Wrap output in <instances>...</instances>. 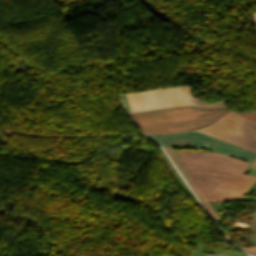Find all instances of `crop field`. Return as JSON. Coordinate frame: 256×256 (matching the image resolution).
Instances as JSON below:
<instances>
[{
	"label": "crop field",
	"mask_w": 256,
	"mask_h": 256,
	"mask_svg": "<svg viewBox=\"0 0 256 256\" xmlns=\"http://www.w3.org/2000/svg\"><path fill=\"white\" fill-rule=\"evenodd\" d=\"M208 202L239 198L256 179L242 174L248 163L217 153L175 151Z\"/></svg>",
	"instance_id": "obj_1"
},
{
	"label": "crop field",
	"mask_w": 256,
	"mask_h": 256,
	"mask_svg": "<svg viewBox=\"0 0 256 256\" xmlns=\"http://www.w3.org/2000/svg\"><path fill=\"white\" fill-rule=\"evenodd\" d=\"M217 110L183 107L131 113L129 116L145 133L179 132L204 128L231 113L226 109L219 112ZM211 113L215 114L207 117H197Z\"/></svg>",
	"instance_id": "obj_2"
},
{
	"label": "crop field",
	"mask_w": 256,
	"mask_h": 256,
	"mask_svg": "<svg viewBox=\"0 0 256 256\" xmlns=\"http://www.w3.org/2000/svg\"><path fill=\"white\" fill-rule=\"evenodd\" d=\"M166 147H202L213 151L221 152L231 156H237L249 162L256 154L216 140L196 131L180 133L147 134Z\"/></svg>",
	"instance_id": "obj_3"
},
{
	"label": "crop field",
	"mask_w": 256,
	"mask_h": 256,
	"mask_svg": "<svg viewBox=\"0 0 256 256\" xmlns=\"http://www.w3.org/2000/svg\"><path fill=\"white\" fill-rule=\"evenodd\" d=\"M227 117L256 131V125L242 117L233 113ZM227 117L197 131L256 153V132Z\"/></svg>",
	"instance_id": "obj_4"
},
{
	"label": "crop field",
	"mask_w": 256,
	"mask_h": 256,
	"mask_svg": "<svg viewBox=\"0 0 256 256\" xmlns=\"http://www.w3.org/2000/svg\"><path fill=\"white\" fill-rule=\"evenodd\" d=\"M189 89L190 86H180L140 91L139 93L146 110L186 105L198 108L225 107L223 101L217 103L202 102L199 98L190 95Z\"/></svg>",
	"instance_id": "obj_5"
},
{
	"label": "crop field",
	"mask_w": 256,
	"mask_h": 256,
	"mask_svg": "<svg viewBox=\"0 0 256 256\" xmlns=\"http://www.w3.org/2000/svg\"><path fill=\"white\" fill-rule=\"evenodd\" d=\"M165 150L167 151V153L169 154V156L171 157V159L173 160V162L175 163V165L177 166V168L180 170V172L182 173V175L184 176V178L186 179V181L188 182V184L191 186V188L193 189V191L195 192V194L197 195V197L200 199V201L202 202V204L206 207V209L212 214V216L215 218L216 221L220 220V218L218 217V215L215 213V211L212 209V207L209 205V203L205 200V198L202 196V194L198 191V189L194 186L191 178H187L183 168L181 167L178 159L176 158V156L174 155V153L171 151L170 148H165Z\"/></svg>",
	"instance_id": "obj_6"
},
{
	"label": "crop field",
	"mask_w": 256,
	"mask_h": 256,
	"mask_svg": "<svg viewBox=\"0 0 256 256\" xmlns=\"http://www.w3.org/2000/svg\"><path fill=\"white\" fill-rule=\"evenodd\" d=\"M126 95L132 111L145 110L138 92L127 93Z\"/></svg>",
	"instance_id": "obj_7"
},
{
	"label": "crop field",
	"mask_w": 256,
	"mask_h": 256,
	"mask_svg": "<svg viewBox=\"0 0 256 256\" xmlns=\"http://www.w3.org/2000/svg\"><path fill=\"white\" fill-rule=\"evenodd\" d=\"M239 116H242L256 124V113L255 112H249V113H235ZM252 165L256 168V158L253 160Z\"/></svg>",
	"instance_id": "obj_8"
},
{
	"label": "crop field",
	"mask_w": 256,
	"mask_h": 256,
	"mask_svg": "<svg viewBox=\"0 0 256 256\" xmlns=\"http://www.w3.org/2000/svg\"><path fill=\"white\" fill-rule=\"evenodd\" d=\"M242 249H244L245 251H247L249 253L256 254V246L250 247V248H242Z\"/></svg>",
	"instance_id": "obj_9"
},
{
	"label": "crop field",
	"mask_w": 256,
	"mask_h": 256,
	"mask_svg": "<svg viewBox=\"0 0 256 256\" xmlns=\"http://www.w3.org/2000/svg\"><path fill=\"white\" fill-rule=\"evenodd\" d=\"M253 20H254V23H255V26H256V12L253 13Z\"/></svg>",
	"instance_id": "obj_10"
},
{
	"label": "crop field",
	"mask_w": 256,
	"mask_h": 256,
	"mask_svg": "<svg viewBox=\"0 0 256 256\" xmlns=\"http://www.w3.org/2000/svg\"><path fill=\"white\" fill-rule=\"evenodd\" d=\"M209 256H221V255H209Z\"/></svg>",
	"instance_id": "obj_11"
},
{
	"label": "crop field",
	"mask_w": 256,
	"mask_h": 256,
	"mask_svg": "<svg viewBox=\"0 0 256 256\" xmlns=\"http://www.w3.org/2000/svg\"><path fill=\"white\" fill-rule=\"evenodd\" d=\"M255 238H256V234H255V236H254Z\"/></svg>",
	"instance_id": "obj_12"
}]
</instances>
